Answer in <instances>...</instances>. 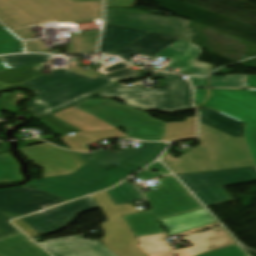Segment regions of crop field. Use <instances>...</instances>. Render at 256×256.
<instances>
[{
	"label": "crop field",
	"mask_w": 256,
	"mask_h": 256,
	"mask_svg": "<svg viewBox=\"0 0 256 256\" xmlns=\"http://www.w3.org/2000/svg\"><path fill=\"white\" fill-rule=\"evenodd\" d=\"M50 57L37 54L0 57L9 67L15 68L0 72V89L11 85L33 88L38 96L30 101L28 107L35 119L116 86L103 77L92 76L96 70L80 71L81 67L76 66V59H71L65 70H56L51 75L41 76L38 70L48 64Z\"/></svg>",
	"instance_id": "obj_1"
},
{
	"label": "crop field",
	"mask_w": 256,
	"mask_h": 256,
	"mask_svg": "<svg viewBox=\"0 0 256 256\" xmlns=\"http://www.w3.org/2000/svg\"><path fill=\"white\" fill-rule=\"evenodd\" d=\"M18 151L33 165L44 168L43 179L30 181L28 185L70 200L107 189L138 171L130 165L106 171L83 162L75 152L48 143Z\"/></svg>",
	"instance_id": "obj_2"
},
{
	"label": "crop field",
	"mask_w": 256,
	"mask_h": 256,
	"mask_svg": "<svg viewBox=\"0 0 256 256\" xmlns=\"http://www.w3.org/2000/svg\"><path fill=\"white\" fill-rule=\"evenodd\" d=\"M102 20V2L72 0H0V21L23 39L34 38L31 26L70 24Z\"/></svg>",
	"instance_id": "obj_3"
},
{
	"label": "crop field",
	"mask_w": 256,
	"mask_h": 256,
	"mask_svg": "<svg viewBox=\"0 0 256 256\" xmlns=\"http://www.w3.org/2000/svg\"><path fill=\"white\" fill-rule=\"evenodd\" d=\"M198 140L201 146L177 159H174L167 150L162 161L175 174L254 165L243 138L232 137L200 123Z\"/></svg>",
	"instance_id": "obj_4"
},
{
	"label": "crop field",
	"mask_w": 256,
	"mask_h": 256,
	"mask_svg": "<svg viewBox=\"0 0 256 256\" xmlns=\"http://www.w3.org/2000/svg\"><path fill=\"white\" fill-rule=\"evenodd\" d=\"M160 182L158 189L144 193L152 211L124 216L136 237L164 233L157 219L203 208L173 176Z\"/></svg>",
	"instance_id": "obj_5"
},
{
	"label": "crop field",
	"mask_w": 256,
	"mask_h": 256,
	"mask_svg": "<svg viewBox=\"0 0 256 256\" xmlns=\"http://www.w3.org/2000/svg\"><path fill=\"white\" fill-rule=\"evenodd\" d=\"M153 76L164 78L168 89H144L121 85L98 95L119 99L125 104L143 111L154 110L169 113L193 109L189 84L183 82L181 76L161 72Z\"/></svg>",
	"instance_id": "obj_6"
},
{
	"label": "crop field",
	"mask_w": 256,
	"mask_h": 256,
	"mask_svg": "<svg viewBox=\"0 0 256 256\" xmlns=\"http://www.w3.org/2000/svg\"><path fill=\"white\" fill-rule=\"evenodd\" d=\"M73 108L88 112L111 126L124 127L127 135L143 141H164L167 124L147 117L128 106L119 105L109 99L81 102Z\"/></svg>",
	"instance_id": "obj_7"
},
{
	"label": "crop field",
	"mask_w": 256,
	"mask_h": 256,
	"mask_svg": "<svg viewBox=\"0 0 256 256\" xmlns=\"http://www.w3.org/2000/svg\"><path fill=\"white\" fill-rule=\"evenodd\" d=\"M204 107L245 123L244 138L256 166V90L210 89L199 109Z\"/></svg>",
	"instance_id": "obj_8"
},
{
	"label": "crop field",
	"mask_w": 256,
	"mask_h": 256,
	"mask_svg": "<svg viewBox=\"0 0 256 256\" xmlns=\"http://www.w3.org/2000/svg\"><path fill=\"white\" fill-rule=\"evenodd\" d=\"M94 198L108 219L100 224L105 235L99 241L117 256H146L136 247L139 243L122 216L145 209L137 210L129 204L115 206L107 191L94 195Z\"/></svg>",
	"instance_id": "obj_9"
},
{
	"label": "crop field",
	"mask_w": 256,
	"mask_h": 256,
	"mask_svg": "<svg viewBox=\"0 0 256 256\" xmlns=\"http://www.w3.org/2000/svg\"><path fill=\"white\" fill-rule=\"evenodd\" d=\"M177 176L206 207H209L232 202L222 187L256 181V169L247 167Z\"/></svg>",
	"instance_id": "obj_10"
},
{
	"label": "crop field",
	"mask_w": 256,
	"mask_h": 256,
	"mask_svg": "<svg viewBox=\"0 0 256 256\" xmlns=\"http://www.w3.org/2000/svg\"><path fill=\"white\" fill-rule=\"evenodd\" d=\"M168 234L147 236L138 238L140 244L137 247L148 256H196L219 248L236 244V242L222 228H215L209 231L188 236L183 241L193 244L187 249L171 251L161 237Z\"/></svg>",
	"instance_id": "obj_11"
},
{
	"label": "crop field",
	"mask_w": 256,
	"mask_h": 256,
	"mask_svg": "<svg viewBox=\"0 0 256 256\" xmlns=\"http://www.w3.org/2000/svg\"><path fill=\"white\" fill-rule=\"evenodd\" d=\"M188 20L133 14L106 10L105 23L144 29L157 33L173 35L184 40H191V33L186 32Z\"/></svg>",
	"instance_id": "obj_12"
},
{
	"label": "crop field",
	"mask_w": 256,
	"mask_h": 256,
	"mask_svg": "<svg viewBox=\"0 0 256 256\" xmlns=\"http://www.w3.org/2000/svg\"><path fill=\"white\" fill-rule=\"evenodd\" d=\"M91 196L21 218L40 236L68 226L81 212L96 209Z\"/></svg>",
	"instance_id": "obj_13"
},
{
	"label": "crop field",
	"mask_w": 256,
	"mask_h": 256,
	"mask_svg": "<svg viewBox=\"0 0 256 256\" xmlns=\"http://www.w3.org/2000/svg\"><path fill=\"white\" fill-rule=\"evenodd\" d=\"M66 201L29 186L0 190V211L19 217Z\"/></svg>",
	"instance_id": "obj_14"
},
{
	"label": "crop field",
	"mask_w": 256,
	"mask_h": 256,
	"mask_svg": "<svg viewBox=\"0 0 256 256\" xmlns=\"http://www.w3.org/2000/svg\"><path fill=\"white\" fill-rule=\"evenodd\" d=\"M166 147V143H141L138 149H126L119 154L101 150L88 155L78 154V156L90 165L107 170L116 165L115 163L131 164L141 169L156 160Z\"/></svg>",
	"instance_id": "obj_15"
},
{
	"label": "crop field",
	"mask_w": 256,
	"mask_h": 256,
	"mask_svg": "<svg viewBox=\"0 0 256 256\" xmlns=\"http://www.w3.org/2000/svg\"><path fill=\"white\" fill-rule=\"evenodd\" d=\"M201 50L202 49L180 39L157 54L156 57L161 56L171 60V63L164 67L163 71H166L167 68L170 67L172 69L169 72L178 68L181 69L179 71L180 74L205 76L211 73L214 68L212 65L196 61L202 54V52H200Z\"/></svg>",
	"instance_id": "obj_16"
},
{
	"label": "crop field",
	"mask_w": 256,
	"mask_h": 256,
	"mask_svg": "<svg viewBox=\"0 0 256 256\" xmlns=\"http://www.w3.org/2000/svg\"><path fill=\"white\" fill-rule=\"evenodd\" d=\"M83 235L49 239L38 243L54 256H116L98 240L82 239Z\"/></svg>",
	"instance_id": "obj_17"
},
{
	"label": "crop field",
	"mask_w": 256,
	"mask_h": 256,
	"mask_svg": "<svg viewBox=\"0 0 256 256\" xmlns=\"http://www.w3.org/2000/svg\"><path fill=\"white\" fill-rule=\"evenodd\" d=\"M178 39L173 36L150 32L112 55L130 62L132 61L130 58L137 52L154 56Z\"/></svg>",
	"instance_id": "obj_18"
},
{
	"label": "crop field",
	"mask_w": 256,
	"mask_h": 256,
	"mask_svg": "<svg viewBox=\"0 0 256 256\" xmlns=\"http://www.w3.org/2000/svg\"><path fill=\"white\" fill-rule=\"evenodd\" d=\"M146 33L148 31L105 24L99 52L111 54Z\"/></svg>",
	"instance_id": "obj_19"
},
{
	"label": "crop field",
	"mask_w": 256,
	"mask_h": 256,
	"mask_svg": "<svg viewBox=\"0 0 256 256\" xmlns=\"http://www.w3.org/2000/svg\"><path fill=\"white\" fill-rule=\"evenodd\" d=\"M160 222L167 229L169 235L217 223V221L205 209L182 214L176 217L161 219Z\"/></svg>",
	"instance_id": "obj_20"
},
{
	"label": "crop field",
	"mask_w": 256,
	"mask_h": 256,
	"mask_svg": "<svg viewBox=\"0 0 256 256\" xmlns=\"http://www.w3.org/2000/svg\"><path fill=\"white\" fill-rule=\"evenodd\" d=\"M0 256H49L33 241L20 233L0 240Z\"/></svg>",
	"instance_id": "obj_21"
},
{
	"label": "crop field",
	"mask_w": 256,
	"mask_h": 256,
	"mask_svg": "<svg viewBox=\"0 0 256 256\" xmlns=\"http://www.w3.org/2000/svg\"><path fill=\"white\" fill-rule=\"evenodd\" d=\"M200 122L232 136L243 137V123L210 109L200 112Z\"/></svg>",
	"instance_id": "obj_22"
},
{
	"label": "crop field",
	"mask_w": 256,
	"mask_h": 256,
	"mask_svg": "<svg viewBox=\"0 0 256 256\" xmlns=\"http://www.w3.org/2000/svg\"><path fill=\"white\" fill-rule=\"evenodd\" d=\"M100 31H91L70 35L71 43L68 45L67 54L95 52Z\"/></svg>",
	"instance_id": "obj_23"
},
{
	"label": "crop field",
	"mask_w": 256,
	"mask_h": 256,
	"mask_svg": "<svg viewBox=\"0 0 256 256\" xmlns=\"http://www.w3.org/2000/svg\"><path fill=\"white\" fill-rule=\"evenodd\" d=\"M6 155L0 156V182H15L22 179L17 162L8 154V144H1Z\"/></svg>",
	"instance_id": "obj_24"
},
{
	"label": "crop field",
	"mask_w": 256,
	"mask_h": 256,
	"mask_svg": "<svg viewBox=\"0 0 256 256\" xmlns=\"http://www.w3.org/2000/svg\"><path fill=\"white\" fill-rule=\"evenodd\" d=\"M115 205L144 199L143 195L130 183L124 181L117 187L108 190Z\"/></svg>",
	"instance_id": "obj_25"
},
{
	"label": "crop field",
	"mask_w": 256,
	"mask_h": 256,
	"mask_svg": "<svg viewBox=\"0 0 256 256\" xmlns=\"http://www.w3.org/2000/svg\"><path fill=\"white\" fill-rule=\"evenodd\" d=\"M19 52H24L21 40L0 25V55Z\"/></svg>",
	"instance_id": "obj_26"
},
{
	"label": "crop field",
	"mask_w": 256,
	"mask_h": 256,
	"mask_svg": "<svg viewBox=\"0 0 256 256\" xmlns=\"http://www.w3.org/2000/svg\"><path fill=\"white\" fill-rule=\"evenodd\" d=\"M246 75L210 76L208 87L244 88Z\"/></svg>",
	"instance_id": "obj_27"
},
{
	"label": "crop field",
	"mask_w": 256,
	"mask_h": 256,
	"mask_svg": "<svg viewBox=\"0 0 256 256\" xmlns=\"http://www.w3.org/2000/svg\"><path fill=\"white\" fill-rule=\"evenodd\" d=\"M151 72L152 71H148V70L137 71L131 68H127V69L112 72L103 77L118 85L120 82L124 80L139 79L149 75Z\"/></svg>",
	"instance_id": "obj_28"
},
{
	"label": "crop field",
	"mask_w": 256,
	"mask_h": 256,
	"mask_svg": "<svg viewBox=\"0 0 256 256\" xmlns=\"http://www.w3.org/2000/svg\"><path fill=\"white\" fill-rule=\"evenodd\" d=\"M14 218L16 217L11 216L8 213L0 212V239L20 233L19 230L8 222V220Z\"/></svg>",
	"instance_id": "obj_29"
},
{
	"label": "crop field",
	"mask_w": 256,
	"mask_h": 256,
	"mask_svg": "<svg viewBox=\"0 0 256 256\" xmlns=\"http://www.w3.org/2000/svg\"><path fill=\"white\" fill-rule=\"evenodd\" d=\"M200 256H248L238 244L229 246L223 249H219L210 253H206Z\"/></svg>",
	"instance_id": "obj_30"
},
{
	"label": "crop field",
	"mask_w": 256,
	"mask_h": 256,
	"mask_svg": "<svg viewBox=\"0 0 256 256\" xmlns=\"http://www.w3.org/2000/svg\"><path fill=\"white\" fill-rule=\"evenodd\" d=\"M152 169H157L160 172L159 173H153V172L150 171ZM165 174H169V172L166 170V168L160 162H156L155 164L151 165L150 167H148V168L144 169L143 171H141L140 173L136 174L135 177L144 181L146 179L161 176V175H165Z\"/></svg>",
	"instance_id": "obj_31"
},
{
	"label": "crop field",
	"mask_w": 256,
	"mask_h": 256,
	"mask_svg": "<svg viewBox=\"0 0 256 256\" xmlns=\"http://www.w3.org/2000/svg\"><path fill=\"white\" fill-rule=\"evenodd\" d=\"M127 67H131V66L118 59V60L110 63L109 65L105 66L104 68H102L98 71H100L104 74H107V73H110L112 71L127 68Z\"/></svg>",
	"instance_id": "obj_32"
},
{
	"label": "crop field",
	"mask_w": 256,
	"mask_h": 256,
	"mask_svg": "<svg viewBox=\"0 0 256 256\" xmlns=\"http://www.w3.org/2000/svg\"><path fill=\"white\" fill-rule=\"evenodd\" d=\"M28 52H43L48 53L50 51L49 48H44L43 42L39 40L26 42Z\"/></svg>",
	"instance_id": "obj_33"
},
{
	"label": "crop field",
	"mask_w": 256,
	"mask_h": 256,
	"mask_svg": "<svg viewBox=\"0 0 256 256\" xmlns=\"http://www.w3.org/2000/svg\"><path fill=\"white\" fill-rule=\"evenodd\" d=\"M136 0H105V7L134 6Z\"/></svg>",
	"instance_id": "obj_34"
},
{
	"label": "crop field",
	"mask_w": 256,
	"mask_h": 256,
	"mask_svg": "<svg viewBox=\"0 0 256 256\" xmlns=\"http://www.w3.org/2000/svg\"><path fill=\"white\" fill-rule=\"evenodd\" d=\"M13 224H15L17 227H19L23 232H25L30 237L38 235L31 228H29L24 222H22L20 219L14 220Z\"/></svg>",
	"instance_id": "obj_35"
},
{
	"label": "crop field",
	"mask_w": 256,
	"mask_h": 256,
	"mask_svg": "<svg viewBox=\"0 0 256 256\" xmlns=\"http://www.w3.org/2000/svg\"><path fill=\"white\" fill-rule=\"evenodd\" d=\"M208 95L207 89H195V106L198 107Z\"/></svg>",
	"instance_id": "obj_36"
},
{
	"label": "crop field",
	"mask_w": 256,
	"mask_h": 256,
	"mask_svg": "<svg viewBox=\"0 0 256 256\" xmlns=\"http://www.w3.org/2000/svg\"><path fill=\"white\" fill-rule=\"evenodd\" d=\"M194 87H206L207 78L189 77Z\"/></svg>",
	"instance_id": "obj_37"
},
{
	"label": "crop field",
	"mask_w": 256,
	"mask_h": 256,
	"mask_svg": "<svg viewBox=\"0 0 256 256\" xmlns=\"http://www.w3.org/2000/svg\"><path fill=\"white\" fill-rule=\"evenodd\" d=\"M245 88H256V76L247 75Z\"/></svg>",
	"instance_id": "obj_38"
},
{
	"label": "crop field",
	"mask_w": 256,
	"mask_h": 256,
	"mask_svg": "<svg viewBox=\"0 0 256 256\" xmlns=\"http://www.w3.org/2000/svg\"><path fill=\"white\" fill-rule=\"evenodd\" d=\"M218 225H220V224L217 223V224H213V225H209V226H205V227H201V228H197V229L181 232V233H178V235L181 236V235L193 233V232H196V231L204 230V229H207V228L215 227V226H218Z\"/></svg>",
	"instance_id": "obj_39"
},
{
	"label": "crop field",
	"mask_w": 256,
	"mask_h": 256,
	"mask_svg": "<svg viewBox=\"0 0 256 256\" xmlns=\"http://www.w3.org/2000/svg\"><path fill=\"white\" fill-rule=\"evenodd\" d=\"M8 68L9 67L0 59V71Z\"/></svg>",
	"instance_id": "obj_40"
},
{
	"label": "crop field",
	"mask_w": 256,
	"mask_h": 256,
	"mask_svg": "<svg viewBox=\"0 0 256 256\" xmlns=\"http://www.w3.org/2000/svg\"><path fill=\"white\" fill-rule=\"evenodd\" d=\"M74 2H82V1H102V0H73Z\"/></svg>",
	"instance_id": "obj_41"
},
{
	"label": "crop field",
	"mask_w": 256,
	"mask_h": 256,
	"mask_svg": "<svg viewBox=\"0 0 256 256\" xmlns=\"http://www.w3.org/2000/svg\"><path fill=\"white\" fill-rule=\"evenodd\" d=\"M93 75L96 76V77H100L97 73H94Z\"/></svg>",
	"instance_id": "obj_42"
}]
</instances>
